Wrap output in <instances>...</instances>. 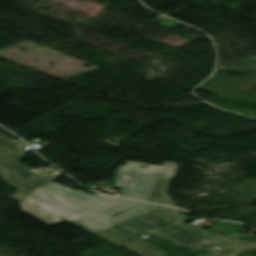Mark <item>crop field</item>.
<instances>
[{"instance_id":"crop-field-1","label":"crop field","mask_w":256,"mask_h":256,"mask_svg":"<svg viewBox=\"0 0 256 256\" xmlns=\"http://www.w3.org/2000/svg\"><path fill=\"white\" fill-rule=\"evenodd\" d=\"M184 218L175 208L161 206L117 225L137 236L153 231L188 247L209 249L212 256H237L242 250L256 247L255 242L226 239L213 232L200 233L178 222Z\"/></svg>"},{"instance_id":"crop-field-2","label":"crop field","mask_w":256,"mask_h":256,"mask_svg":"<svg viewBox=\"0 0 256 256\" xmlns=\"http://www.w3.org/2000/svg\"><path fill=\"white\" fill-rule=\"evenodd\" d=\"M126 164L118 168L114 185L124 190L123 196L144 201L148 200L156 177L173 178L178 169V166L171 162H165L163 166L147 165L145 169L141 168L146 165L143 163L127 161Z\"/></svg>"},{"instance_id":"crop-field-3","label":"crop field","mask_w":256,"mask_h":256,"mask_svg":"<svg viewBox=\"0 0 256 256\" xmlns=\"http://www.w3.org/2000/svg\"><path fill=\"white\" fill-rule=\"evenodd\" d=\"M20 205L22 206L23 212L49 226L69 221L89 212L45 187L20 202ZM33 206H37L38 208ZM59 215L66 219L63 220L59 218ZM67 215H69V217Z\"/></svg>"},{"instance_id":"crop-field-4","label":"crop field","mask_w":256,"mask_h":256,"mask_svg":"<svg viewBox=\"0 0 256 256\" xmlns=\"http://www.w3.org/2000/svg\"><path fill=\"white\" fill-rule=\"evenodd\" d=\"M21 162L15 157L0 152V169L2 170L0 177L6 184L19 190L12 195V198L19 202L53 182L38 173L32 172L31 169L21 165Z\"/></svg>"},{"instance_id":"crop-field-5","label":"crop field","mask_w":256,"mask_h":256,"mask_svg":"<svg viewBox=\"0 0 256 256\" xmlns=\"http://www.w3.org/2000/svg\"><path fill=\"white\" fill-rule=\"evenodd\" d=\"M104 239L116 244L123 245L140 256H165L166 252L154 247L137 236L117 227L116 225L96 233Z\"/></svg>"},{"instance_id":"crop-field-6","label":"crop field","mask_w":256,"mask_h":256,"mask_svg":"<svg viewBox=\"0 0 256 256\" xmlns=\"http://www.w3.org/2000/svg\"><path fill=\"white\" fill-rule=\"evenodd\" d=\"M156 207L158 206L121 199L97 209L93 213L117 224Z\"/></svg>"},{"instance_id":"crop-field-7","label":"crop field","mask_w":256,"mask_h":256,"mask_svg":"<svg viewBox=\"0 0 256 256\" xmlns=\"http://www.w3.org/2000/svg\"><path fill=\"white\" fill-rule=\"evenodd\" d=\"M45 187L55 191L56 193L66 197L67 199L77 203L78 205H80L90 211H93L97 208H100V207L108 204L109 201L113 202V201L118 200V198H111V197H107V196L100 195V194H97L94 196H89L80 191H72L71 189L64 187L60 184H57L55 182H53Z\"/></svg>"},{"instance_id":"crop-field-8","label":"crop field","mask_w":256,"mask_h":256,"mask_svg":"<svg viewBox=\"0 0 256 256\" xmlns=\"http://www.w3.org/2000/svg\"><path fill=\"white\" fill-rule=\"evenodd\" d=\"M69 222L81 227L82 229H84L92 234L114 225L113 223H111V222L91 213V212H89L85 215H82L78 218H75Z\"/></svg>"},{"instance_id":"crop-field-9","label":"crop field","mask_w":256,"mask_h":256,"mask_svg":"<svg viewBox=\"0 0 256 256\" xmlns=\"http://www.w3.org/2000/svg\"><path fill=\"white\" fill-rule=\"evenodd\" d=\"M169 181L170 179L157 178L148 201L174 206V202L165 195Z\"/></svg>"},{"instance_id":"crop-field-10","label":"crop field","mask_w":256,"mask_h":256,"mask_svg":"<svg viewBox=\"0 0 256 256\" xmlns=\"http://www.w3.org/2000/svg\"><path fill=\"white\" fill-rule=\"evenodd\" d=\"M25 142H15L8 137L0 134V150L4 152H8L12 155H15L17 157L27 153L26 150L22 149L21 147H18L19 145L23 144Z\"/></svg>"}]
</instances>
